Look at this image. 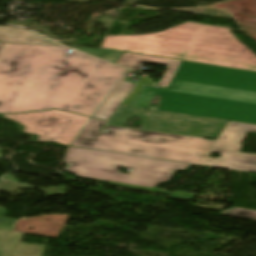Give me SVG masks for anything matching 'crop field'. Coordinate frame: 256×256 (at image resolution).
I'll return each instance as SVG.
<instances>
[{
	"label": "crop field",
	"mask_w": 256,
	"mask_h": 256,
	"mask_svg": "<svg viewBox=\"0 0 256 256\" xmlns=\"http://www.w3.org/2000/svg\"><path fill=\"white\" fill-rule=\"evenodd\" d=\"M24 233L0 230V256H10Z\"/></svg>",
	"instance_id": "crop-field-11"
},
{
	"label": "crop field",
	"mask_w": 256,
	"mask_h": 256,
	"mask_svg": "<svg viewBox=\"0 0 256 256\" xmlns=\"http://www.w3.org/2000/svg\"><path fill=\"white\" fill-rule=\"evenodd\" d=\"M130 70H127L125 75L122 77L118 85L115 87L110 96L98 109L93 117L107 120L112 112L117 108L129 91L134 87V83L123 81L125 77L129 74Z\"/></svg>",
	"instance_id": "crop-field-9"
},
{
	"label": "crop field",
	"mask_w": 256,
	"mask_h": 256,
	"mask_svg": "<svg viewBox=\"0 0 256 256\" xmlns=\"http://www.w3.org/2000/svg\"><path fill=\"white\" fill-rule=\"evenodd\" d=\"M44 245L18 243L11 256H42Z\"/></svg>",
	"instance_id": "crop-field-12"
},
{
	"label": "crop field",
	"mask_w": 256,
	"mask_h": 256,
	"mask_svg": "<svg viewBox=\"0 0 256 256\" xmlns=\"http://www.w3.org/2000/svg\"><path fill=\"white\" fill-rule=\"evenodd\" d=\"M130 106L256 124V72L182 61L168 89L145 86Z\"/></svg>",
	"instance_id": "crop-field-2"
},
{
	"label": "crop field",
	"mask_w": 256,
	"mask_h": 256,
	"mask_svg": "<svg viewBox=\"0 0 256 256\" xmlns=\"http://www.w3.org/2000/svg\"><path fill=\"white\" fill-rule=\"evenodd\" d=\"M101 48L256 71V55L229 29L187 22L146 36H106Z\"/></svg>",
	"instance_id": "crop-field-4"
},
{
	"label": "crop field",
	"mask_w": 256,
	"mask_h": 256,
	"mask_svg": "<svg viewBox=\"0 0 256 256\" xmlns=\"http://www.w3.org/2000/svg\"><path fill=\"white\" fill-rule=\"evenodd\" d=\"M219 215L234 217V218H243V219H250L256 222V211L251 210H244L238 208H231L226 211L219 213Z\"/></svg>",
	"instance_id": "crop-field-14"
},
{
	"label": "crop field",
	"mask_w": 256,
	"mask_h": 256,
	"mask_svg": "<svg viewBox=\"0 0 256 256\" xmlns=\"http://www.w3.org/2000/svg\"><path fill=\"white\" fill-rule=\"evenodd\" d=\"M143 63L167 66V68L157 86L168 87V85H169L176 69L178 68L179 64L181 63V61L124 52L123 55L116 62V64H118V65L130 68V69L136 70V71H139V69Z\"/></svg>",
	"instance_id": "crop-field-8"
},
{
	"label": "crop field",
	"mask_w": 256,
	"mask_h": 256,
	"mask_svg": "<svg viewBox=\"0 0 256 256\" xmlns=\"http://www.w3.org/2000/svg\"><path fill=\"white\" fill-rule=\"evenodd\" d=\"M74 49L80 50L82 52L88 53L90 55L99 57L101 59L107 60L109 62L115 63L116 60L121 56L123 52L120 51H112V50H104V49H87V48H77L72 47ZM104 53L108 54L107 57L102 56Z\"/></svg>",
	"instance_id": "crop-field-13"
},
{
	"label": "crop field",
	"mask_w": 256,
	"mask_h": 256,
	"mask_svg": "<svg viewBox=\"0 0 256 256\" xmlns=\"http://www.w3.org/2000/svg\"><path fill=\"white\" fill-rule=\"evenodd\" d=\"M4 214V209L0 207V229L11 230L16 220L2 218Z\"/></svg>",
	"instance_id": "crop-field-15"
},
{
	"label": "crop field",
	"mask_w": 256,
	"mask_h": 256,
	"mask_svg": "<svg viewBox=\"0 0 256 256\" xmlns=\"http://www.w3.org/2000/svg\"><path fill=\"white\" fill-rule=\"evenodd\" d=\"M63 161L71 163L67 171L79 177L92 178L119 187L163 193L174 198L191 200L193 197V194L182 191L170 194L155 188L158 183L169 180L176 169L188 168L187 164L74 147L68 148ZM118 166L132 167L130 174L116 173Z\"/></svg>",
	"instance_id": "crop-field-5"
},
{
	"label": "crop field",
	"mask_w": 256,
	"mask_h": 256,
	"mask_svg": "<svg viewBox=\"0 0 256 256\" xmlns=\"http://www.w3.org/2000/svg\"><path fill=\"white\" fill-rule=\"evenodd\" d=\"M2 43H0V46H1Z\"/></svg>",
	"instance_id": "crop-field-17"
},
{
	"label": "crop field",
	"mask_w": 256,
	"mask_h": 256,
	"mask_svg": "<svg viewBox=\"0 0 256 256\" xmlns=\"http://www.w3.org/2000/svg\"><path fill=\"white\" fill-rule=\"evenodd\" d=\"M130 117H140L142 128L217 139L227 121L121 107L108 124L126 126Z\"/></svg>",
	"instance_id": "crop-field-6"
},
{
	"label": "crop field",
	"mask_w": 256,
	"mask_h": 256,
	"mask_svg": "<svg viewBox=\"0 0 256 256\" xmlns=\"http://www.w3.org/2000/svg\"><path fill=\"white\" fill-rule=\"evenodd\" d=\"M25 126L23 132L39 135L37 141L70 145L89 118L58 111L2 115Z\"/></svg>",
	"instance_id": "crop-field-7"
},
{
	"label": "crop field",
	"mask_w": 256,
	"mask_h": 256,
	"mask_svg": "<svg viewBox=\"0 0 256 256\" xmlns=\"http://www.w3.org/2000/svg\"><path fill=\"white\" fill-rule=\"evenodd\" d=\"M0 42L58 45L23 28L6 26H0Z\"/></svg>",
	"instance_id": "crop-field-10"
},
{
	"label": "crop field",
	"mask_w": 256,
	"mask_h": 256,
	"mask_svg": "<svg viewBox=\"0 0 256 256\" xmlns=\"http://www.w3.org/2000/svg\"><path fill=\"white\" fill-rule=\"evenodd\" d=\"M66 47L3 43L0 113L58 108L93 116L126 69Z\"/></svg>",
	"instance_id": "crop-field-1"
},
{
	"label": "crop field",
	"mask_w": 256,
	"mask_h": 256,
	"mask_svg": "<svg viewBox=\"0 0 256 256\" xmlns=\"http://www.w3.org/2000/svg\"><path fill=\"white\" fill-rule=\"evenodd\" d=\"M104 123L92 119L72 146L256 172V154L240 153L247 132H256L253 124L228 121L218 139L209 141L201 137L112 125H105L108 130L103 134L98 131ZM212 152L221 156L210 158Z\"/></svg>",
	"instance_id": "crop-field-3"
},
{
	"label": "crop field",
	"mask_w": 256,
	"mask_h": 256,
	"mask_svg": "<svg viewBox=\"0 0 256 256\" xmlns=\"http://www.w3.org/2000/svg\"><path fill=\"white\" fill-rule=\"evenodd\" d=\"M152 85V83L147 79V78H143L140 83L135 87V89L132 91V93L129 95V97L126 99V101L123 103V105L128 106V104L130 103V101L133 99V97L137 94V92L140 90L142 85ZM143 87V86H142Z\"/></svg>",
	"instance_id": "crop-field-16"
}]
</instances>
